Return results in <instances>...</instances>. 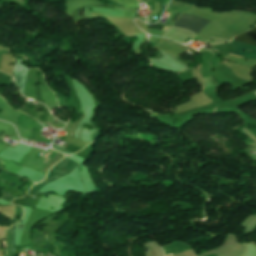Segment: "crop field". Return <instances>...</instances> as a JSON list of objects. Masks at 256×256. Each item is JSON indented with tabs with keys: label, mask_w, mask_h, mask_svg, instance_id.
<instances>
[{
	"label": "crop field",
	"mask_w": 256,
	"mask_h": 256,
	"mask_svg": "<svg viewBox=\"0 0 256 256\" xmlns=\"http://www.w3.org/2000/svg\"><path fill=\"white\" fill-rule=\"evenodd\" d=\"M79 162L76 160L66 156L64 159H62L58 164H56L47 174L44 181L34 185L30 191L28 192L29 195L36 194L42 186L45 184L60 178L66 174H68L75 166L78 165Z\"/></svg>",
	"instance_id": "1"
},
{
	"label": "crop field",
	"mask_w": 256,
	"mask_h": 256,
	"mask_svg": "<svg viewBox=\"0 0 256 256\" xmlns=\"http://www.w3.org/2000/svg\"><path fill=\"white\" fill-rule=\"evenodd\" d=\"M234 40H238V41L245 42L250 45L256 46V27H254L252 30H249L246 33H243V34L235 37ZM234 40H232V42H230L236 48L234 51L231 52L232 54L240 55V56H242V58L256 59V47H253V46H250V45H247L244 43H240V42H237ZM245 49L247 50L246 53L243 52V50H245ZM248 49H250L251 52H248ZM233 56H235V55H233ZM237 57H239V56H237Z\"/></svg>",
	"instance_id": "2"
},
{
	"label": "crop field",
	"mask_w": 256,
	"mask_h": 256,
	"mask_svg": "<svg viewBox=\"0 0 256 256\" xmlns=\"http://www.w3.org/2000/svg\"><path fill=\"white\" fill-rule=\"evenodd\" d=\"M210 21L205 20L201 17L190 16L186 14H182L177 21L175 22V26L183 27L185 29H189L194 31L196 34L206 26Z\"/></svg>",
	"instance_id": "3"
},
{
	"label": "crop field",
	"mask_w": 256,
	"mask_h": 256,
	"mask_svg": "<svg viewBox=\"0 0 256 256\" xmlns=\"http://www.w3.org/2000/svg\"><path fill=\"white\" fill-rule=\"evenodd\" d=\"M18 61V60H17ZM20 61L16 64L15 71L13 77L15 78L16 84L21 89V94L23 93V82L26 77L27 68L21 64H19Z\"/></svg>",
	"instance_id": "4"
},
{
	"label": "crop field",
	"mask_w": 256,
	"mask_h": 256,
	"mask_svg": "<svg viewBox=\"0 0 256 256\" xmlns=\"http://www.w3.org/2000/svg\"><path fill=\"white\" fill-rule=\"evenodd\" d=\"M162 249L165 252V254L170 253V255L172 256V255H175V254H178V253L190 250V247L187 246V245H184V244H182L180 242H177V243L165 246ZM170 255L167 254L165 256H170Z\"/></svg>",
	"instance_id": "5"
},
{
	"label": "crop field",
	"mask_w": 256,
	"mask_h": 256,
	"mask_svg": "<svg viewBox=\"0 0 256 256\" xmlns=\"http://www.w3.org/2000/svg\"><path fill=\"white\" fill-rule=\"evenodd\" d=\"M0 198H2V199L5 200V201L11 202V200H12L13 198H16V197H14V196H12V195H10V194H8V193H6V192L3 191V194H2V196H1Z\"/></svg>",
	"instance_id": "6"
},
{
	"label": "crop field",
	"mask_w": 256,
	"mask_h": 256,
	"mask_svg": "<svg viewBox=\"0 0 256 256\" xmlns=\"http://www.w3.org/2000/svg\"><path fill=\"white\" fill-rule=\"evenodd\" d=\"M147 28L161 30L163 27L162 26H157V25H148ZM167 29H168L167 27H164L162 30L166 31Z\"/></svg>",
	"instance_id": "7"
},
{
	"label": "crop field",
	"mask_w": 256,
	"mask_h": 256,
	"mask_svg": "<svg viewBox=\"0 0 256 256\" xmlns=\"http://www.w3.org/2000/svg\"><path fill=\"white\" fill-rule=\"evenodd\" d=\"M52 147H53L54 149H56V150H59V151H61V152L66 153V154H72V153H70V152H68V151H65V150H63V149H61V148H59V147L54 146V145H52ZM64 153H63V154H64Z\"/></svg>",
	"instance_id": "8"
},
{
	"label": "crop field",
	"mask_w": 256,
	"mask_h": 256,
	"mask_svg": "<svg viewBox=\"0 0 256 256\" xmlns=\"http://www.w3.org/2000/svg\"><path fill=\"white\" fill-rule=\"evenodd\" d=\"M178 16L179 14H176L175 17L173 18V21H175Z\"/></svg>",
	"instance_id": "9"
},
{
	"label": "crop field",
	"mask_w": 256,
	"mask_h": 256,
	"mask_svg": "<svg viewBox=\"0 0 256 256\" xmlns=\"http://www.w3.org/2000/svg\"><path fill=\"white\" fill-rule=\"evenodd\" d=\"M48 155H49V153L46 156H44V158H46Z\"/></svg>",
	"instance_id": "10"
}]
</instances>
